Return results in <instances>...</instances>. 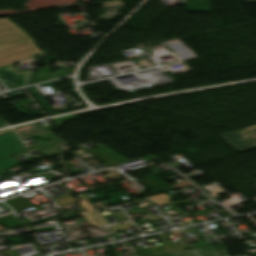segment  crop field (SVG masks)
Returning <instances> with one entry per match:
<instances>
[{"mask_svg":"<svg viewBox=\"0 0 256 256\" xmlns=\"http://www.w3.org/2000/svg\"><path fill=\"white\" fill-rule=\"evenodd\" d=\"M42 53L34 41L7 18L0 19V67Z\"/></svg>","mask_w":256,"mask_h":256,"instance_id":"crop-field-1","label":"crop field"},{"mask_svg":"<svg viewBox=\"0 0 256 256\" xmlns=\"http://www.w3.org/2000/svg\"><path fill=\"white\" fill-rule=\"evenodd\" d=\"M25 148L26 146L18 139L12 130L0 134V158L14 154ZM19 164L21 163L11 157L0 160V172Z\"/></svg>","mask_w":256,"mask_h":256,"instance_id":"crop-field-2","label":"crop field"},{"mask_svg":"<svg viewBox=\"0 0 256 256\" xmlns=\"http://www.w3.org/2000/svg\"><path fill=\"white\" fill-rule=\"evenodd\" d=\"M221 137L237 153L256 148V125L221 135Z\"/></svg>","mask_w":256,"mask_h":256,"instance_id":"crop-field-3","label":"crop field"},{"mask_svg":"<svg viewBox=\"0 0 256 256\" xmlns=\"http://www.w3.org/2000/svg\"><path fill=\"white\" fill-rule=\"evenodd\" d=\"M28 72L18 74L10 65L0 68V81L8 88L13 89L25 85Z\"/></svg>","mask_w":256,"mask_h":256,"instance_id":"crop-field-4","label":"crop field"},{"mask_svg":"<svg viewBox=\"0 0 256 256\" xmlns=\"http://www.w3.org/2000/svg\"><path fill=\"white\" fill-rule=\"evenodd\" d=\"M137 182L154 195L173 191L171 187L166 185L164 182H162L155 176L137 180Z\"/></svg>","mask_w":256,"mask_h":256,"instance_id":"crop-field-5","label":"crop field"},{"mask_svg":"<svg viewBox=\"0 0 256 256\" xmlns=\"http://www.w3.org/2000/svg\"><path fill=\"white\" fill-rule=\"evenodd\" d=\"M89 154L110 166L128 161L126 158L122 157L121 155H119L118 153H116L115 151L111 150L108 147Z\"/></svg>","mask_w":256,"mask_h":256,"instance_id":"crop-field-6","label":"crop field"},{"mask_svg":"<svg viewBox=\"0 0 256 256\" xmlns=\"http://www.w3.org/2000/svg\"><path fill=\"white\" fill-rule=\"evenodd\" d=\"M157 256H220L213 246Z\"/></svg>","mask_w":256,"mask_h":256,"instance_id":"crop-field-7","label":"crop field"},{"mask_svg":"<svg viewBox=\"0 0 256 256\" xmlns=\"http://www.w3.org/2000/svg\"><path fill=\"white\" fill-rule=\"evenodd\" d=\"M15 131L21 138H23L47 130L38 124H33L25 127L16 128Z\"/></svg>","mask_w":256,"mask_h":256,"instance_id":"crop-field-8","label":"crop field"},{"mask_svg":"<svg viewBox=\"0 0 256 256\" xmlns=\"http://www.w3.org/2000/svg\"><path fill=\"white\" fill-rule=\"evenodd\" d=\"M50 72L48 69H38L37 72L31 74L27 85L50 80Z\"/></svg>","mask_w":256,"mask_h":256,"instance_id":"crop-field-9","label":"crop field"},{"mask_svg":"<svg viewBox=\"0 0 256 256\" xmlns=\"http://www.w3.org/2000/svg\"><path fill=\"white\" fill-rule=\"evenodd\" d=\"M5 202L13 206L16 212L34 207L32 204L28 203L25 199H22L20 197Z\"/></svg>","mask_w":256,"mask_h":256,"instance_id":"crop-field-10","label":"crop field"},{"mask_svg":"<svg viewBox=\"0 0 256 256\" xmlns=\"http://www.w3.org/2000/svg\"><path fill=\"white\" fill-rule=\"evenodd\" d=\"M0 224L6 228L16 226V225H21V221L17 218L15 219L11 215L0 217Z\"/></svg>","mask_w":256,"mask_h":256,"instance_id":"crop-field-11","label":"crop field"},{"mask_svg":"<svg viewBox=\"0 0 256 256\" xmlns=\"http://www.w3.org/2000/svg\"><path fill=\"white\" fill-rule=\"evenodd\" d=\"M30 90V93L32 95H34L33 93L37 94V95H34L36 97V99L40 102V104L46 109V111L50 114H55L51 111V109L47 106V104L42 100V98L38 95V93L34 90L33 87H30L29 88ZM68 110H71V109H68ZM64 111H67V110H64ZM60 112H63V111H60ZM56 113H59V112H56Z\"/></svg>","mask_w":256,"mask_h":256,"instance_id":"crop-field-12","label":"crop field"},{"mask_svg":"<svg viewBox=\"0 0 256 256\" xmlns=\"http://www.w3.org/2000/svg\"><path fill=\"white\" fill-rule=\"evenodd\" d=\"M6 125H7V123L2 118H0V127L6 126Z\"/></svg>","mask_w":256,"mask_h":256,"instance_id":"crop-field-13","label":"crop field"},{"mask_svg":"<svg viewBox=\"0 0 256 256\" xmlns=\"http://www.w3.org/2000/svg\"><path fill=\"white\" fill-rule=\"evenodd\" d=\"M247 3H256V0H246Z\"/></svg>","mask_w":256,"mask_h":256,"instance_id":"crop-field-14","label":"crop field"},{"mask_svg":"<svg viewBox=\"0 0 256 256\" xmlns=\"http://www.w3.org/2000/svg\"><path fill=\"white\" fill-rule=\"evenodd\" d=\"M4 132H6V131H4ZM0 133H3V132H0Z\"/></svg>","mask_w":256,"mask_h":256,"instance_id":"crop-field-15","label":"crop field"}]
</instances>
